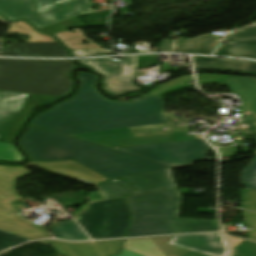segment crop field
<instances>
[{
	"instance_id": "crop-field-1",
	"label": "crop field",
	"mask_w": 256,
	"mask_h": 256,
	"mask_svg": "<svg viewBox=\"0 0 256 256\" xmlns=\"http://www.w3.org/2000/svg\"><path fill=\"white\" fill-rule=\"evenodd\" d=\"M77 78L80 83L73 98L34 117L30 126L111 149L202 138L164 131L169 125L161 98L114 102L95 89L98 76L80 73Z\"/></svg>"
},
{
	"instance_id": "crop-field-2",
	"label": "crop field",
	"mask_w": 256,
	"mask_h": 256,
	"mask_svg": "<svg viewBox=\"0 0 256 256\" xmlns=\"http://www.w3.org/2000/svg\"><path fill=\"white\" fill-rule=\"evenodd\" d=\"M31 161L74 160L107 177H126L169 167L130 154L29 127L18 142Z\"/></svg>"
},
{
	"instance_id": "crop-field-3",
	"label": "crop field",
	"mask_w": 256,
	"mask_h": 256,
	"mask_svg": "<svg viewBox=\"0 0 256 256\" xmlns=\"http://www.w3.org/2000/svg\"><path fill=\"white\" fill-rule=\"evenodd\" d=\"M133 196V195H132ZM133 220L126 237L217 231V221L177 218L178 187L127 198Z\"/></svg>"
},
{
	"instance_id": "crop-field-4",
	"label": "crop field",
	"mask_w": 256,
	"mask_h": 256,
	"mask_svg": "<svg viewBox=\"0 0 256 256\" xmlns=\"http://www.w3.org/2000/svg\"><path fill=\"white\" fill-rule=\"evenodd\" d=\"M0 90L63 96L70 92L72 60L0 59Z\"/></svg>"
},
{
	"instance_id": "crop-field-5",
	"label": "crop field",
	"mask_w": 256,
	"mask_h": 256,
	"mask_svg": "<svg viewBox=\"0 0 256 256\" xmlns=\"http://www.w3.org/2000/svg\"><path fill=\"white\" fill-rule=\"evenodd\" d=\"M30 173L25 167L0 165V230L31 240L51 237L41 226L22 218L11 203L21 199L15 193V180Z\"/></svg>"
},
{
	"instance_id": "crop-field-6",
	"label": "crop field",
	"mask_w": 256,
	"mask_h": 256,
	"mask_svg": "<svg viewBox=\"0 0 256 256\" xmlns=\"http://www.w3.org/2000/svg\"><path fill=\"white\" fill-rule=\"evenodd\" d=\"M88 208L76 220L92 239L124 237L130 220L125 198L91 203Z\"/></svg>"
},
{
	"instance_id": "crop-field-7",
	"label": "crop field",
	"mask_w": 256,
	"mask_h": 256,
	"mask_svg": "<svg viewBox=\"0 0 256 256\" xmlns=\"http://www.w3.org/2000/svg\"><path fill=\"white\" fill-rule=\"evenodd\" d=\"M207 146L203 139H197L116 150L177 168L205 159Z\"/></svg>"
},
{
	"instance_id": "crop-field-8",
	"label": "crop field",
	"mask_w": 256,
	"mask_h": 256,
	"mask_svg": "<svg viewBox=\"0 0 256 256\" xmlns=\"http://www.w3.org/2000/svg\"><path fill=\"white\" fill-rule=\"evenodd\" d=\"M58 98L0 91V140L12 142L34 106Z\"/></svg>"
},
{
	"instance_id": "crop-field-9",
	"label": "crop field",
	"mask_w": 256,
	"mask_h": 256,
	"mask_svg": "<svg viewBox=\"0 0 256 256\" xmlns=\"http://www.w3.org/2000/svg\"><path fill=\"white\" fill-rule=\"evenodd\" d=\"M87 67L104 76L102 88L110 95H120L130 91H139L141 88L132 84L137 56L124 57V60L111 58L77 60Z\"/></svg>"
},
{
	"instance_id": "crop-field-10",
	"label": "crop field",
	"mask_w": 256,
	"mask_h": 256,
	"mask_svg": "<svg viewBox=\"0 0 256 256\" xmlns=\"http://www.w3.org/2000/svg\"><path fill=\"white\" fill-rule=\"evenodd\" d=\"M170 237L130 239L119 256H206L166 245Z\"/></svg>"
},
{
	"instance_id": "crop-field-11",
	"label": "crop field",
	"mask_w": 256,
	"mask_h": 256,
	"mask_svg": "<svg viewBox=\"0 0 256 256\" xmlns=\"http://www.w3.org/2000/svg\"><path fill=\"white\" fill-rule=\"evenodd\" d=\"M168 245L210 256H228L229 254V248L222 233L173 236Z\"/></svg>"
},
{
	"instance_id": "crop-field-12",
	"label": "crop field",
	"mask_w": 256,
	"mask_h": 256,
	"mask_svg": "<svg viewBox=\"0 0 256 256\" xmlns=\"http://www.w3.org/2000/svg\"><path fill=\"white\" fill-rule=\"evenodd\" d=\"M229 44H220L214 55L236 56L256 59V23L227 35Z\"/></svg>"
},
{
	"instance_id": "crop-field-13",
	"label": "crop field",
	"mask_w": 256,
	"mask_h": 256,
	"mask_svg": "<svg viewBox=\"0 0 256 256\" xmlns=\"http://www.w3.org/2000/svg\"><path fill=\"white\" fill-rule=\"evenodd\" d=\"M123 240L101 241L89 243H65L61 241H42L51 244L60 254L65 256H108L117 254Z\"/></svg>"
},
{
	"instance_id": "crop-field-14",
	"label": "crop field",
	"mask_w": 256,
	"mask_h": 256,
	"mask_svg": "<svg viewBox=\"0 0 256 256\" xmlns=\"http://www.w3.org/2000/svg\"><path fill=\"white\" fill-rule=\"evenodd\" d=\"M2 56L12 57H69L59 43H8Z\"/></svg>"
},
{
	"instance_id": "crop-field-15",
	"label": "crop field",
	"mask_w": 256,
	"mask_h": 256,
	"mask_svg": "<svg viewBox=\"0 0 256 256\" xmlns=\"http://www.w3.org/2000/svg\"><path fill=\"white\" fill-rule=\"evenodd\" d=\"M90 3L88 0H79L75 3L65 5L50 11H47L37 18L28 20L29 23L33 24L37 29L45 27L64 19L72 18L82 14L93 13Z\"/></svg>"
},
{
	"instance_id": "crop-field-16",
	"label": "crop field",
	"mask_w": 256,
	"mask_h": 256,
	"mask_svg": "<svg viewBox=\"0 0 256 256\" xmlns=\"http://www.w3.org/2000/svg\"><path fill=\"white\" fill-rule=\"evenodd\" d=\"M125 179H127L139 193L177 186L171 169L127 177Z\"/></svg>"
},
{
	"instance_id": "crop-field-17",
	"label": "crop field",
	"mask_w": 256,
	"mask_h": 256,
	"mask_svg": "<svg viewBox=\"0 0 256 256\" xmlns=\"http://www.w3.org/2000/svg\"><path fill=\"white\" fill-rule=\"evenodd\" d=\"M232 92L243 97L242 115H251L256 118V79L239 77L224 81ZM256 128V122L252 123Z\"/></svg>"
},
{
	"instance_id": "crop-field-18",
	"label": "crop field",
	"mask_w": 256,
	"mask_h": 256,
	"mask_svg": "<svg viewBox=\"0 0 256 256\" xmlns=\"http://www.w3.org/2000/svg\"><path fill=\"white\" fill-rule=\"evenodd\" d=\"M38 166L55 172L60 175H64L67 177H71L74 179H78L84 181L86 183L95 185L103 180L104 178L99 175L93 173L92 171L74 163V162H62V163H52V164H39V163H30L25 166Z\"/></svg>"
},
{
	"instance_id": "crop-field-19",
	"label": "crop field",
	"mask_w": 256,
	"mask_h": 256,
	"mask_svg": "<svg viewBox=\"0 0 256 256\" xmlns=\"http://www.w3.org/2000/svg\"><path fill=\"white\" fill-rule=\"evenodd\" d=\"M218 36L204 35L191 40H177L173 52L212 54L218 43Z\"/></svg>"
},
{
	"instance_id": "crop-field-20",
	"label": "crop field",
	"mask_w": 256,
	"mask_h": 256,
	"mask_svg": "<svg viewBox=\"0 0 256 256\" xmlns=\"http://www.w3.org/2000/svg\"><path fill=\"white\" fill-rule=\"evenodd\" d=\"M0 14L13 22L36 15L33 0H0Z\"/></svg>"
},
{
	"instance_id": "crop-field-21",
	"label": "crop field",
	"mask_w": 256,
	"mask_h": 256,
	"mask_svg": "<svg viewBox=\"0 0 256 256\" xmlns=\"http://www.w3.org/2000/svg\"><path fill=\"white\" fill-rule=\"evenodd\" d=\"M194 66L197 69L240 71L247 62L227 59L193 57Z\"/></svg>"
},
{
	"instance_id": "crop-field-22",
	"label": "crop field",
	"mask_w": 256,
	"mask_h": 256,
	"mask_svg": "<svg viewBox=\"0 0 256 256\" xmlns=\"http://www.w3.org/2000/svg\"><path fill=\"white\" fill-rule=\"evenodd\" d=\"M97 186L101 189L106 200L136 193L124 179L106 180Z\"/></svg>"
},
{
	"instance_id": "crop-field-23",
	"label": "crop field",
	"mask_w": 256,
	"mask_h": 256,
	"mask_svg": "<svg viewBox=\"0 0 256 256\" xmlns=\"http://www.w3.org/2000/svg\"><path fill=\"white\" fill-rule=\"evenodd\" d=\"M75 34L66 31L59 34H53L57 37V39L61 40L65 46H67L70 50H80V49H96L102 48L101 46L90 42L84 35L81 28L72 29ZM86 40L89 44L82 45V41Z\"/></svg>"
},
{
	"instance_id": "crop-field-24",
	"label": "crop field",
	"mask_w": 256,
	"mask_h": 256,
	"mask_svg": "<svg viewBox=\"0 0 256 256\" xmlns=\"http://www.w3.org/2000/svg\"><path fill=\"white\" fill-rule=\"evenodd\" d=\"M62 226L50 229L56 238L66 240H89L74 220L61 222Z\"/></svg>"
},
{
	"instance_id": "crop-field-25",
	"label": "crop field",
	"mask_w": 256,
	"mask_h": 256,
	"mask_svg": "<svg viewBox=\"0 0 256 256\" xmlns=\"http://www.w3.org/2000/svg\"><path fill=\"white\" fill-rule=\"evenodd\" d=\"M20 33L30 36V39L24 40L25 42H56L52 37L35 32L30 26L21 21L19 23H12L8 33Z\"/></svg>"
},
{
	"instance_id": "crop-field-26",
	"label": "crop field",
	"mask_w": 256,
	"mask_h": 256,
	"mask_svg": "<svg viewBox=\"0 0 256 256\" xmlns=\"http://www.w3.org/2000/svg\"><path fill=\"white\" fill-rule=\"evenodd\" d=\"M189 81H193L191 75L184 76V77H181L179 79L172 80V81H170V82H168L166 84L160 85L158 88H156L155 90L151 91L147 95H152V96L160 97V96H163L165 94H168V93H171L173 91H176L178 89L191 86V85H187L186 84V82H189Z\"/></svg>"
},
{
	"instance_id": "crop-field-27",
	"label": "crop field",
	"mask_w": 256,
	"mask_h": 256,
	"mask_svg": "<svg viewBox=\"0 0 256 256\" xmlns=\"http://www.w3.org/2000/svg\"><path fill=\"white\" fill-rule=\"evenodd\" d=\"M74 27H86L82 22H80L77 17L64 20L62 22H59L57 24L41 28L39 29L41 32H45L48 34H53V33H59L68 29H72Z\"/></svg>"
},
{
	"instance_id": "crop-field-28",
	"label": "crop field",
	"mask_w": 256,
	"mask_h": 256,
	"mask_svg": "<svg viewBox=\"0 0 256 256\" xmlns=\"http://www.w3.org/2000/svg\"><path fill=\"white\" fill-rule=\"evenodd\" d=\"M241 180L247 189L256 190V156L241 175Z\"/></svg>"
},
{
	"instance_id": "crop-field-29",
	"label": "crop field",
	"mask_w": 256,
	"mask_h": 256,
	"mask_svg": "<svg viewBox=\"0 0 256 256\" xmlns=\"http://www.w3.org/2000/svg\"><path fill=\"white\" fill-rule=\"evenodd\" d=\"M0 160L7 162L24 161L18 150L11 144L0 142Z\"/></svg>"
},
{
	"instance_id": "crop-field-30",
	"label": "crop field",
	"mask_w": 256,
	"mask_h": 256,
	"mask_svg": "<svg viewBox=\"0 0 256 256\" xmlns=\"http://www.w3.org/2000/svg\"><path fill=\"white\" fill-rule=\"evenodd\" d=\"M31 240L0 231V251Z\"/></svg>"
},
{
	"instance_id": "crop-field-31",
	"label": "crop field",
	"mask_w": 256,
	"mask_h": 256,
	"mask_svg": "<svg viewBox=\"0 0 256 256\" xmlns=\"http://www.w3.org/2000/svg\"><path fill=\"white\" fill-rule=\"evenodd\" d=\"M231 256H256V243L243 241L240 244L232 246Z\"/></svg>"
},
{
	"instance_id": "crop-field-32",
	"label": "crop field",
	"mask_w": 256,
	"mask_h": 256,
	"mask_svg": "<svg viewBox=\"0 0 256 256\" xmlns=\"http://www.w3.org/2000/svg\"><path fill=\"white\" fill-rule=\"evenodd\" d=\"M75 1L77 0H35L38 14Z\"/></svg>"
},
{
	"instance_id": "crop-field-33",
	"label": "crop field",
	"mask_w": 256,
	"mask_h": 256,
	"mask_svg": "<svg viewBox=\"0 0 256 256\" xmlns=\"http://www.w3.org/2000/svg\"><path fill=\"white\" fill-rule=\"evenodd\" d=\"M241 208L256 211V191L242 190Z\"/></svg>"
},
{
	"instance_id": "crop-field-34",
	"label": "crop field",
	"mask_w": 256,
	"mask_h": 256,
	"mask_svg": "<svg viewBox=\"0 0 256 256\" xmlns=\"http://www.w3.org/2000/svg\"><path fill=\"white\" fill-rule=\"evenodd\" d=\"M245 222L251 228L247 238L256 241V213L243 210Z\"/></svg>"
},
{
	"instance_id": "crop-field-35",
	"label": "crop field",
	"mask_w": 256,
	"mask_h": 256,
	"mask_svg": "<svg viewBox=\"0 0 256 256\" xmlns=\"http://www.w3.org/2000/svg\"><path fill=\"white\" fill-rule=\"evenodd\" d=\"M196 76H197L198 84L239 77V76H228V75H219V74H196Z\"/></svg>"
},
{
	"instance_id": "crop-field-36",
	"label": "crop field",
	"mask_w": 256,
	"mask_h": 256,
	"mask_svg": "<svg viewBox=\"0 0 256 256\" xmlns=\"http://www.w3.org/2000/svg\"><path fill=\"white\" fill-rule=\"evenodd\" d=\"M157 58H158V55L138 56L136 69L156 66Z\"/></svg>"
},
{
	"instance_id": "crop-field-37",
	"label": "crop field",
	"mask_w": 256,
	"mask_h": 256,
	"mask_svg": "<svg viewBox=\"0 0 256 256\" xmlns=\"http://www.w3.org/2000/svg\"><path fill=\"white\" fill-rule=\"evenodd\" d=\"M113 53L107 49L72 51L74 57L96 56L97 54Z\"/></svg>"
},
{
	"instance_id": "crop-field-38",
	"label": "crop field",
	"mask_w": 256,
	"mask_h": 256,
	"mask_svg": "<svg viewBox=\"0 0 256 256\" xmlns=\"http://www.w3.org/2000/svg\"><path fill=\"white\" fill-rule=\"evenodd\" d=\"M222 157L224 156H233L235 151H236V147H230V148H219Z\"/></svg>"
},
{
	"instance_id": "crop-field-39",
	"label": "crop field",
	"mask_w": 256,
	"mask_h": 256,
	"mask_svg": "<svg viewBox=\"0 0 256 256\" xmlns=\"http://www.w3.org/2000/svg\"><path fill=\"white\" fill-rule=\"evenodd\" d=\"M241 71L256 73V63L248 62Z\"/></svg>"
},
{
	"instance_id": "crop-field-40",
	"label": "crop field",
	"mask_w": 256,
	"mask_h": 256,
	"mask_svg": "<svg viewBox=\"0 0 256 256\" xmlns=\"http://www.w3.org/2000/svg\"><path fill=\"white\" fill-rule=\"evenodd\" d=\"M162 42L166 43L165 48H164L163 51L171 52L173 41H171V40H163Z\"/></svg>"
},
{
	"instance_id": "crop-field-41",
	"label": "crop field",
	"mask_w": 256,
	"mask_h": 256,
	"mask_svg": "<svg viewBox=\"0 0 256 256\" xmlns=\"http://www.w3.org/2000/svg\"><path fill=\"white\" fill-rule=\"evenodd\" d=\"M231 245H234L236 243H240L242 240L241 239H237V238H233V237H228Z\"/></svg>"
},
{
	"instance_id": "crop-field-42",
	"label": "crop field",
	"mask_w": 256,
	"mask_h": 256,
	"mask_svg": "<svg viewBox=\"0 0 256 256\" xmlns=\"http://www.w3.org/2000/svg\"><path fill=\"white\" fill-rule=\"evenodd\" d=\"M164 45H165V44H163V43H160V44H159L160 51H162V50H163Z\"/></svg>"
},
{
	"instance_id": "crop-field-43",
	"label": "crop field",
	"mask_w": 256,
	"mask_h": 256,
	"mask_svg": "<svg viewBox=\"0 0 256 256\" xmlns=\"http://www.w3.org/2000/svg\"><path fill=\"white\" fill-rule=\"evenodd\" d=\"M1 17V16H0Z\"/></svg>"
}]
</instances>
